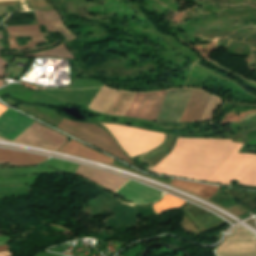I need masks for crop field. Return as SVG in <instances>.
<instances>
[{
  "label": "crop field",
  "mask_w": 256,
  "mask_h": 256,
  "mask_svg": "<svg viewBox=\"0 0 256 256\" xmlns=\"http://www.w3.org/2000/svg\"><path fill=\"white\" fill-rule=\"evenodd\" d=\"M17 236H21V235H17ZM17 236H11V237H0V241H5V240L11 239V238H13V237H17Z\"/></svg>",
  "instance_id": "obj_23"
},
{
  "label": "crop field",
  "mask_w": 256,
  "mask_h": 256,
  "mask_svg": "<svg viewBox=\"0 0 256 256\" xmlns=\"http://www.w3.org/2000/svg\"><path fill=\"white\" fill-rule=\"evenodd\" d=\"M237 145L231 140L178 138L172 153L152 170L206 181Z\"/></svg>",
  "instance_id": "obj_1"
},
{
  "label": "crop field",
  "mask_w": 256,
  "mask_h": 256,
  "mask_svg": "<svg viewBox=\"0 0 256 256\" xmlns=\"http://www.w3.org/2000/svg\"><path fill=\"white\" fill-rule=\"evenodd\" d=\"M58 128H61L65 131L125 160L126 162L136 166L132 161H130L120 151L117 144L113 141V139L107 133H105L102 129L98 128L97 126H95L93 124L71 122V121H67V120L63 119L62 122L59 124Z\"/></svg>",
  "instance_id": "obj_4"
},
{
  "label": "crop field",
  "mask_w": 256,
  "mask_h": 256,
  "mask_svg": "<svg viewBox=\"0 0 256 256\" xmlns=\"http://www.w3.org/2000/svg\"><path fill=\"white\" fill-rule=\"evenodd\" d=\"M46 157L31 155L24 152L0 149V161L10 162V165L24 166L42 163Z\"/></svg>",
  "instance_id": "obj_14"
},
{
  "label": "crop field",
  "mask_w": 256,
  "mask_h": 256,
  "mask_svg": "<svg viewBox=\"0 0 256 256\" xmlns=\"http://www.w3.org/2000/svg\"><path fill=\"white\" fill-rule=\"evenodd\" d=\"M241 146L236 147L207 181L230 185L232 179H238V184L256 186V155L238 154Z\"/></svg>",
  "instance_id": "obj_2"
},
{
  "label": "crop field",
  "mask_w": 256,
  "mask_h": 256,
  "mask_svg": "<svg viewBox=\"0 0 256 256\" xmlns=\"http://www.w3.org/2000/svg\"><path fill=\"white\" fill-rule=\"evenodd\" d=\"M166 92L136 93L125 116L154 120Z\"/></svg>",
  "instance_id": "obj_7"
},
{
  "label": "crop field",
  "mask_w": 256,
  "mask_h": 256,
  "mask_svg": "<svg viewBox=\"0 0 256 256\" xmlns=\"http://www.w3.org/2000/svg\"><path fill=\"white\" fill-rule=\"evenodd\" d=\"M39 26H16V27H7L8 33L10 36H24V35H40Z\"/></svg>",
  "instance_id": "obj_19"
},
{
  "label": "crop field",
  "mask_w": 256,
  "mask_h": 256,
  "mask_svg": "<svg viewBox=\"0 0 256 256\" xmlns=\"http://www.w3.org/2000/svg\"><path fill=\"white\" fill-rule=\"evenodd\" d=\"M34 121L8 109L0 116V136L14 140Z\"/></svg>",
  "instance_id": "obj_10"
},
{
  "label": "crop field",
  "mask_w": 256,
  "mask_h": 256,
  "mask_svg": "<svg viewBox=\"0 0 256 256\" xmlns=\"http://www.w3.org/2000/svg\"><path fill=\"white\" fill-rule=\"evenodd\" d=\"M6 109H7L6 107L0 105V114H1L4 110H6Z\"/></svg>",
  "instance_id": "obj_25"
},
{
  "label": "crop field",
  "mask_w": 256,
  "mask_h": 256,
  "mask_svg": "<svg viewBox=\"0 0 256 256\" xmlns=\"http://www.w3.org/2000/svg\"><path fill=\"white\" fill-rule=\"evenodd\" d=\"M22 56H45V57H60V58L73 59V57L71 56L69 51L66 49L64 44H62L54 49H51L49 51L27 54V55H22Z\"/></svg>",
  "instance_id": "obj_18"
},
{
  "label": "crop field",
  "mask_w": 256,
  "mask_h": 256,
  "mask_svg": "<svg viewBox=\"0 0 256 256\" xmlns=\"http://www.w3.org/2000/svg\"><path fill=\"white\" fill-rule=\"evenodd\" d=\"M3 244H9V241L1 242V243H0V245H3Z\"/></svg>",
  "instance_id": "obj_27"
},
{
  "label": "crop field",
  "mask_w": 256,
  "mask_h": 256,
  "mask_svg": "<svg viewBox=\"0 0 256 256\" xmlns=\"http://www.w3.org/2000/svg\"><path fill=\"white\" fill-rule=\"evenodd\" d=\"M59 151H65L70 154L87 157V158L102 161V162H105L108 164H110L113 161V160H111V159L91 150V149L83 147L73 141H70L67 144H65L61 149H59Z\"/></svg>",
  "instance_id": "obj_15"
},
{
  "label": "crop field",
  "mask_w": 256,
  "mask_h": 256,
  "mask_svg": "<svg viewBox=\"0 0 256 256\" xmlns=\"http://www.w3.org/2000/svg\"><path fill=\"white\" fill-rule=\"evenodd\" d=\"M1 163H6V162H0V164H1Z\"/></svg>",
  "instance_id": "obj_30"
},
{
  "label": "crop field",
  "mask_w": 256,
  "mask_h": 256,
  "mask_svg": "<svg viewBox=\"0 0 256 256\" xmlns=\"http://www.w3.org/2000/svg\"><path fill=\"white\" fill-rule=\"evenodd\" d=\"M42 42H47V40H45L43 38V36H37V37H32V41H29L27 43H28V46H29V45H33V44H37V43H42ZM8 43H9V47L10 48H16V50L35 47L34 45L33 46H29V47H27V45L26 46H22V47H18L15 38H8Z\"/></svg>",
  "instance_id": "obj_20"
},
{
  "label": "crop field",
  "mask_w": 256,
  "mask_h": 256,
  "mask_svg": "<svg viewBox=\"0 0 256 256\" xmlns=\"http://www.w3.org/2000/svg\"><path fill=\"white\" fill-rule=\"evenodd\" d=\"M0 1H7V0H0Z\"/></svg>",
  "instance_id": "obj_29"
},
{
  "label": "crop field",
  "mask_w": 256,
  "mask_h": 256,
  "mask_svg": "<svg viewBox=\"0 0 256 256\" xmlns=\"http://www.w3.org/2000/svg\"><path fill=\"white\" fill-rule=\"evenodd\" d=\"M2 85L1 81H0V86Z\"/></svg>",
  "instance_id": "obj_28"
},
{
  "label": "crop field",
  "mask_w": 256,
  "mask_h": 256,
  "mask_svg": "<svg viewBox=\"0 0 256 256\" xmlns=\"http://www.w3.org/2000/svg\"><path fill=\"white\" fill-rule=\"evenodd\" d=\"M15 140L57 150L67 138L34 122Z\"/></svg>",
  "instance_id": "obj_8"
},
{
  "label": "crop field",
  "mask_w": 256,
  "mask_h": 256,
  "mask_svg": "<svg viewBox=\"0 0 256 256\" xmlns=\"http://www.w3.org/2000/svg\"><path fill=\"white\" fill-rule=\"evenodd\" d=\"M193 89L167 92L156 117L157 121L179 122Z\"/></svg>",
  "instance_id": "obj_6"
},
{
  "label": "crop field",
  "mask_w": 256,
  "mask_h": 256,
  "mask_svg": "<svg viewBox=\"0 0 256 256\" xmlns=\"http://www.w3.org/2000/svg\"><path fill=\"white\" fill-rule=\"evenodd\" d=\"M210 96L208 93L194 90L180 122H199Z\"/></svg>",
  "instance_id": "obj_12"
},
{
  "label": "crop field",
  "mask_w": 256,
  "mask_h": 256,
  "mask_svg": "<svg viewBox=\"0 0 256 256\" xmlns=\"http://www.w3.org/2000/svg\"><path fill=\"white\" fill-rule=\"evenodd\" d=\"M75 174L81 175L111 191L118 189L127 179L109 174L105 171L89 168L86 166L79 165Z\"/></svg>",
  "instance_id": "obj_11"
},
{
  "label": "crop field",
  "mask_w": 256,
  "mask_h": 256,
  "mask_svg": "<svg viewBox=\"0 0 256 256\" xmlns=\"http://www.w3.org/2000/svg\"><path fill=\"white\" fill-rule=\"evenodd\" d=\"M0 38H2L1 35H0ZM0 49H3V47H0ZM6 64L7 63L0 58V67L3 69V70L0 69V78L3 77V73H4V69H5Z\"/></svg>",
  "instance_id": "obj_21"
},
{
  "label": "crop field",
  "mask_w": 256,
  "mask_h": 256,
  "mask_svg": "<svg viewBox=\"0 0 256 256\" xmlns=\"http://www.w3.org/2000/svg\"><path fill=\"white\" fill-rule=\"evenodd\" d=\"M5 248H8V249H9V246H8V245L0 246V249H5ZM8 249H5V250H8ZM5 250H1V251H5ZM1 251H0V252H1Z\"/></svg>",
  "instance_id": "obj_24"
},
{
  "label": "crop field",
  "mask_w": 256,
  "mask_h": 256,
  "mask_svg": "<svg viewBox=\"0 0 256 256\" xmlns=\"http://www.w3.org/2000/svg\"><path fill=\"white\" fill-rule=\"evenodd\" d=\"M171 185L196 193L208 199L219 187L173 180Z\"/></svg>",
  "instance_id": "obj_16"
},
{
  "label": "crop field",
  "mask_w": 256,
  "mask_h": 256,
  "mask_svg": "<svg viewBox=\"0 0 256 256\" xmlns=\"http://www.w3.org/2000/svg\"><path fill=\"white\" fill-rule=\"evenodd\" d=\"M102 125L108 128L109 132L130 157L155 148L165 139L164 133H156L121 125Z\"/></svg>",
  "instance_id": "obj_3"
},
{
  "label": "crop field",
  "mask_w": 256,
  "mask_h": 256,
  "mask_svg": "<svg viewBox=\"0 0 256 256\" xmlns=\"http://www.w3.org/2000/svg\"><path fill=\"white\" fill-rule=\"evenodd\" d=\"M4 253H8V254L3 255V256H10V255H11V253H10L9 251H7V252H3V253H0V255H1V254H4Z\"/></svg>",
  "instance_id": "obj_26"
},
{
  "label": "crop field",
  "mask_w": 256,
  "mask_h": 256,
  "mask_svg": "<svg viewBox=\"0 0 256 256\" xmlns=\"http://www.w3.org/2000/svg\"><path fill=\"white\" fill-rule=\"evenodd\" d=\"M34 12L36 14L38 23H45L48 31L59 32L68 40L75 38V36L66 29L56 11Z\"/></svg>",
  "instance_id": "obj_13"
},
{
  "label": "crop field",
  "mask_w": 256,
  "mask_h": 256,
  "mask_svg": "<svg viewBox=\"0 0 256 256\" xmlns=\"http://www.w3.org/2000/svg\"><path fill=\"white\" fill-rule=\"evenodd\" d=\"M185 201L174 198L169 195H165L162 201L153 204V208L156 214L161 213L168 209L181 208Z\"/></svg>",
  "instance_id": "obj_17"
},
{
  "label": "crop field",
  "mask_w": 256,
  "mask_h": 256,
  "mask_svg": "<svg viewBox=\"0 0 256 256\" xmlns=\"http://www.w3.org/2000/svg\"><path fill=\"white\" fill-rule=\"evenodd\" d=\"M244 228V227H243ZM238 227L216 248L217 256H256V236Z\"/></svg>",
  "instance_id": "obj_5"
},
{
  "label": "crop field",
  "mask_w": 256,
  "mask_h": 256,
  "mask_svg": "<svg viewBox=\"0 0 256 256\" xmlns=\"http://www.w3.org/2000/svg\"><path fill=\"white\" fill-rule=\"evenodd\" d=\"M115 193L134 203L155 202L163 195L162 192L143 186L135 181L128 180Z\"/></svg>",
  "instance_id": "obj_9"
},
{
  "label": "crop field",
  "mask_w": 256,
  "mask_h": 256,
  "mask_svg": "<svg viewBox=\"0 0 256 256\" xmlns=\"http://www.w3.org/2000/svg\"><path fill=\"white\" fill-rule=\"evenodd\" d=\"M56 43H58V42H56ZM56 43H54V44H56ZM54 44H52V45H54ZM52 45H48V46H52ZM48 46H44V47H48ZM44 47H41V48H44ZM37 49H39V48H37ZM33 50H35V49H33ZM28 51H31V50L21 51V52H16V53H10V54L24 53V52H28Z\"/></svg>",
  "instance_id": "obj_22"
}]
</instances>
